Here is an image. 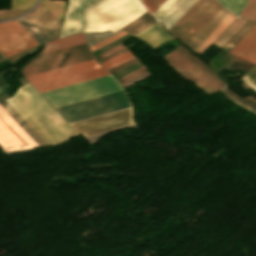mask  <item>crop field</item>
Instances as JSON below:
<instances>
[{
    "label": "crop field",
    "mask_w": 256,
    "mask_h": 256,
    "mask_svg": "<svg viewBox=\"0 0 256 256\" xmlns=\"http://www.w3.org/2000/svg\"><path fill=\"white\" fill-rule=\"evenodd\" d=\"M150 75L151 74L147 71V72H145V73H143V74H141V75H139V76H137V77H135V78L125 82V83H123L122 86H123V88H125V87H127V86H129V85H131V84H133V83H135V82H137V81H139V80H141L143 78H146V77H148Z\"/></svg>",
    "instance_id": "obj_39"
},
{
    "label": "crop field",
    "mask_w": 256,
    "mask_h": 256,
    "mask_svg": "<svg viewBox=\"0 0 256 256\" xmlns=\"http://www.w3.org/2000/svg\"><path fill=\"white\" fill-rule=\"evenodd\" d=\"M27 9H1L0 10V21L12 19L18 15L25 13Z\"/></svg>",
    "instance_id": "obj_32"
},
{
    "label": "crop field",
    "mask_w": 256,
    "mask_h": 256,
    "mask_svg": "<svg viewBox=\"0 0 256 256\" xmlns=\"http://www.w3.org/2000/svg\"><path fill=\"white\" fill-rule=\"evenodd\" d=\"M122 89L123 88L115 81V79L109 75L53 91L41 93V95L54 108H56Z\"/></svg>",
    "instance_id": "obj_4"
},
{
    "label": "crop field",
    "mask_w": 256,
    "mask_h": 256,
    "mask_svg": "<svg viewBox=\"0 0 256 256\" xmlns=\"http://www.w3.org/2000/svg\"><path fill=\"white\" fill-rule=\"evenodd\" d=\"M146 70H147V68L145 66H142V67L134 70L133 72L129 73L128 75L118 79V80L120 81V83H122V82H124V81H126V80H128V79H130V78H132V77H134V76H136V75L146 71Z\"/></svg>",
    "instance_id": "obj_38"
},
{
    "label": "crop field",
    "mask_w": 256,
    "mask_h": 256,
    "mask_svg": "<svg viewBox=\"0 0 256 256\" xmlns=\"http://www.w3.org/2000/svg\"><path fill=\"white\" fill-rule=\"evenodd\" d=\"M86 42L82 33L46 42L41 53Z\"/></svg>",
    "instance_id": "obj_20"
},
{
    "label": "crop field",
    "mask_w": 256,
    "mask_h": 256,
    "mask_svg": "<svg viewBox=\"0 0 256 256\" xmlns=\"http://www.w3.org/2000/svg\"><path fill=\"white\" fill-rule=\"evenodd\" d=\"M38 29L49 39H55L59 34L60 23L40 2L37 8L26 15Z\"/></svg>",
    "instance_id": "obj_13"
},
{
    "label": "crop field",
    "mask_w": 256,
    "mask_h": 256,
    "mask_svg": "<svg viewBox=\"0 0 256 256\" xmlns=\"http://www.w3.org/2000/svg\"><path fill=\"white\" fill-rule=\"evenodd\" d=\"M163 58L180 76L197 85L208 95L225 86L214 72L209 71L202 61L195 58L182 46L163 56Z\"/></svg>",
    "instance_id": "obj_3"
},
{
    "label": "crop field",
    "mask_w": 256,
    "mask_h": 256,
    "mask_svg": "<svg viewBox=\"0 0 256 256\" xmlns=\"http://www.w3.org/2000/svg\"><path fill=\"white\" fill-rule=\"evenodd\" d=\"M136 37L140 38L154 50L171 40V38L158 27L157 23L148 27Z\"/></svg>",
    "instance_id": "obj_16"
},
{
    "label": "crop field",
    "mask_w": 256,
    "mask_h": 256,
    "mask_svg": "<svg viewBox=\"0 0 256 256\" xmlns=\"http://www.w3.org/2000/svg\"><path fill=\"white\" fill-rule=\"evenodd\" d=\"M236 19L231 13L222 21V23L204 40V42L195 50L203 54L205 50L224 32V30Z\"/></svg>",
    "instance_id": "obj_21"
},
{
    "label": "crop field",
    "mask_w": 256,
    "mask_h": 256,
    "mask_svg": "<svg viewBox=\"0 0 256 256\" xmlns=\"http://www.w3.org/2000/svg\"><path fill=\"white\" fill-rule=\"evenodd\" d=\"M147 11L138 0H99L86 11L89 32L111 30L114 33Z\"/></svg>",
    "instance_id": "obj_2"
},
{
    "label": "crop field",
    "mask_w": 256,
    "mask_h": 256,
    "mask_svg": "<svg viewBox=\"0 0 256 256\" xmlns=\"http://www.w3.org/2000/svg\"><path fill=\"white\" fill-rule=\"evenodd\" d=\"M7 101L48 145L78 135L30 84L20 87Z\"/></svg>",
    "instance_id": "obj_1"
},
{
    "label": "crop field",
    "mask_w": 256,
    "mask_h": 256,
    "mask_svg": "<svg viewBox=\"0 0 256 256\" xmlns=\"http://www.w3.org/2000/svg\"><path fill=\"white\" fill-rule=\"evenodd\" d=\"M176 0H166L162 6L153 14L158 20L175 3Z\"/></svg>",
    "instance_id": "obj_34"
},
{
    "label": "crop field",
    "mask_w": 256,
    "mask_h": 256,
    "mask_svg": "<svg viewBox=\"0 0 256 256\" xmlns=\"http://www.w3.org/2000/svg\"><path fill=\"white\" fill-rule=\"evenodd\" d=\"M132 57H134V55L129 50V51H127V52H125V53H123V54H121V55H119V56H117V57H115V58H113V59H111V60L101 64V65L106 70H108V69H110V68H112V67H114V66H116V65H118V64H120V63H122V62H124V61H126L128 59H130V58H132Z\"/></svg>",
    "instance_id": "obj_29"
},
{
    "label": "crop field",
    "mask_w": 256,
    "mask_h": 256,
    "mask_svg": "<svg viewBox=\"0 0 256 256\" xmlns=\"http://www.w3.org/2000/svg\"><path fill=\"white\" fill-rule=\"evenodd\" d=\"M124 91L78 102L56 110L68 121H75L98 114L130 107Z\"/></svg>",
    "instance_id": "obj_6"
},
{
    "label": "crop field",
    "mask_w": 256,
    "mask_h": 256,
    "mask_svg": "<svg viewBox=\"0 0 256 256\" xmlns=\"http://www.w3.org/2000/svg\"><path fill=\"white\" fill-rule=\"evenodd\" d=\"M252 22H256V15H255L254 18L252 19Z\"/></svg>",
    "instance_id": "obj_41"
},
{
    "label": "crop field",
    "mask_w": 256,
    "mask_h": 256,
    "mask_svg": "<svg viewBox=\"0 0 256 256\" xmlns=\"http://www.w3.org/2000/svg\"><path fill=\"white\" fill-rule=\"evenodd\" d=\"M255 12H256V0H250L249 4L247 5V7L245 8V10L243 11L240 17L251 20Z\"/></svg>",
    "instance_id": "obj_33"
},
{
    "label": "crop field",
    "mask_w": 256,
    "mask_h": 256,
    "mask_svg": "<svg viewBox=\"0 0 256 256\" xmlns=\"http://www.w3.org/2000/svg\"><path fill=\"white\" fill-rule=\"evenodd\" d=\"M124 47H126V46L121 44V45H119V46H117V47H115V48H113V49H111V50H109V51H107V52H105V53L95 57V58L98 61V60H100V59H102V58H104V57H106V56H108V55H110V54H112V53H114V52L124 48Z\"/></svg>",
    "instance_id": "obj_40"
},
{
    "label": "crop field",
    "mask_w": 256,
    "mask_h": 256,
    "mask_svg": "<svg viewBox=\"0 0 256 256\" xmlns=\"http://www.w3.org/2000/svg\"><path fill=\"white\" fill-rule=\"evenodd\" d=\"M37 45L15 20L0 24V52L6 57Z\"/></svg>",
    "instance_id": "obj_9"
},
{
    "label": "crop field",
    "mask_w": 256,
    "mask_h": 256,
    "mask_svg": "<svg viewBox=\"0 0 256 256\" xmlns=\"http://www.w3.org/2000/svg\"><path fill=\"white\" fill-rule=\"evenodd\" d=\"M0 145L11 151L38 146L0 106Z\"/></svg>",
    "instance_id": "obj_8"
},
{
    "label": "crop field",
    "mask_w": 256,
    "mask_h": 256,
    "mask_svg": "<svg viewBox=\"0 0 256 256\" xmlns=\"http://www.w3.org/2000/svg\"><path fill=\"white\" fill-rule=\"evenodd\" d=\"M18 21L28 31V33L35 39V41L38 44L48 40L26 16L18 19Z\"/></svg>",
    "instance_id": "obj_26"
},
{
    "label": "crop field",
    "mask_w": 256,
    "mask_h": 256,
    "mask_svg": "<svg viewBox=\"0 0 256 256\" xmlns=\"http://www.w3.org/2000/svg\"><path fill=\"white\" fill-rule=\"evenodd\" d=\"M231 53L256 63V26L237 44Z\"/></svg>",
    "instance_id": "obj_15"
},
{
    "label": "crop field",
    "mask_w": 256,
    "mask_h": 256,
    "mask_svg": "<svg viewBox=\"0 0 256 256\" xmlns=\"http://www.w3.org/2000/svg\"><path fill=\"white\" fill-rule=\"evenodd\" d=\"M195 1L177 0L159 21L169 30Z\"/></svg>",
    "instance_id": "obj_17"
},
{
    "label": "crop field",
    "mask_w": 256,
    "mask_h": 256,
    "mask_svg": "<svg viewBox=\"0 0 256 256\" xmlns=\"http://www.w3.org/2000/svg\"><path fill=\"white\" fill-rule=\"evenodd\" d=\"M121 30H119L118 32H120ZM116 32V33H118ZM115 33V34H116ZM86 39H87V42L89 44V46H92L112 35H114L113 33L111 32H104V33H100V34H97V33H84Z\"/></svg>",
    "instance_id": "obj_30"
},
{
    "label": "crop field",
    "mask_w": 256,
    "mask_h": 256,
    "mask_svg": "<svg viewBox=\"0 0 256 256\" xmlns=\"http://www.w3.org/2000/svg\"><path fill=\"white\" fill-rule=\"evenodd\" d=\"M105 75H109V73L106 70H104L103 68H101V69H97V70H93V71H89V72L69 76V77H66V78H62V79H58V80H54V81L34 85V87L36 88V90L39 93H41V92L53 90V89H56V88L68 86V85H71V84L79 83V82H82V81L94 79V78L105 76Z\"/></svg>",
    "instance_id": "obj_14"
},
{
    "label": "crop field",
    "mask_w": 256,
    "mask_h": 256,
    "mask_svg": "<svg viewBox=\"0 0 256 256\" xmlns=\"http://www.w3.org/2000/svg\"><path fill=\"white\" fill-rule=\"evenodd\" d=\"M229 13L223 8L188 45L195 50Z\"/></svg>",
    "instance_id": "obj_18"
},
{
    "label": "crop field",
    "mask_w": 256,
    "mask_h": 256,
    "mask_svg": "<svg viewBox=\"0 0 256 256\" xmlns=\"http://www.w3.org/2000/svg\"><path fill=\"white\" fill-rule=\"evenodd\" d=\"M96 63L92 59V60H88V61H84V62H81V63L74 64V65H70V66L55 69V70H52V71L37 74V75H34V76L26 77V79L32 85H34V84H38V83H42V82H46V81L66 77V76H69V75H73V74H77V73H81V72L101 68Z\"/></svg>",
    "instance_id": "obj_12"
},
{
    "label": "crop field",
    "mask_w": 256,
    "mask_h": 256,
    "mask_svg": "<svg viewBox=\"0 0 256 256\" xmlns=\"http://www.w3.org/2000/svg\"><path fill=\"white\" fill-rule=\"evenodd\" d=\"M87 44H81L70 48L54 51L37 56L28 62L21 70L24 77L92 59Z\"/></svg>",
    "instance_id": "obj_7"
},
{
    "label": "crop field",
    "mask_w": 256,
    "mask_h": 256,
    "mask_svg": "<svg viewBox=\"0 0 256 256\" xmlns=\"http://www.w3.org/2000/svg\"><path fill=\"white\" fill-rule=\"evenodd\" d=\"M11 8L32 7L36 0H10Z\"/></svg>",
    "instance_id": "obj_35"
},
{
    "label": "crop field",
    "mask_w": 256,
    "mask_h": 256,
    "mask_svg": "<svg viewBox=\"0 0 256 256\" xmlns=\"http://www.w3.org/2000/svg\"><path fill=\"white\" fill-rule=\"evenodd\" d=\"M255 25V23L247 21L235 35L222 47V49L230 52L235 45L249 32V30Z\"/></svg>",
    "instance_id": "obj_24"
},
{
    "label": "crop field",
    "mask_w": 256,
    "mask_h": 256,
    "mask_svg": "<svg viewBox=\"0 0 256 256\" xmlns=\"http://www.w3.org/2000/svg\"><path fill=\"white\" fill-rule=\"evenodd\" d=\"M132 108L70 124L82 136L132 124Z\"/></svg>",
    "instance_id": "obj_10"
},
{
    "label": "crop field",
    "mask_w": 256,
    "mask_h": 256,
    "mask_svg": "<svg viewBox=\"0 0 256 256\" xmlns=\"http://www.w3.org/2000/svg\"><path fill=\"white\" fill-rule=\"evenodd\" d=\"M147 8L154 13L165 0H142Z\"/></svg>",
    "instance_id": "obj_36"
},
{
    "label": "crop field",
    "mask_w": 256,
    "mask_h": 256,
    "mask_svg": "<svg viewBox=\"0 0 256 256\" xmlns=\"http://www.w3.org/2000/svg\"><path fill=\"white\" fill-rule=\"evenodd\" d=\"M0 105L9 113V115L30 135V137L39 145H47L41 137L26 123V121L7 103L6 100L1 101ZM1 107V108H2ZM2 108V109H3ZM3 109V110H4ZM4 110V111H5ZM5 111V112H6ZM6 112V113H7Z\"/></svg>",
    "instance_id": "obj_19"
},
{
    "label": "crop field",
    "mask_w": 256,
    "mask_h": 256,
    "mask_svg": "<svg viewBox=\"0 0 256 256\" xmlns=\"http://www.w3.org/2000/svg\"><path fill=\"white\" fill-rule=\"evenodd\" d=\"M242 87H252L256 91V64L242 78Z\"/></svg>",
    "instance_id": "obj_31"
},
{
    "label": "crop field",
    "mask_w": 256,
    "mask_h": 256,
    "mask_svg": "<svg viewBox=\"0 0 256 256\" xmlns=\"http://www.w3.org/2000/svg\"><path fill=\"white\" fill-rule=\"evenodd\" d=\"M236 15H239L248 0H218Z\"/></svg>",
    "instance_id": "obj_28"
},
{
    "label": "crop field",
    "mask_w": 256,
    "mask_h": 256,
    "mask_svg": "<svg viewBox=\"0 0 256 256\" xmlns=\"http://www.w3.org/2000/svg\"><path fill=\"white\" fill-rule=\"evenodd\" d=\"M154 22L156 21L149 13V11H147L143 15L135 19L133 22L125 26L122 30L135 36Z\"/></svg>",
    "instance_id": "obj_22"
},
{
    "label": "crop field",
    "mask_w": 256,
    "mask_h": 256,
    "mask_svg": "<svg viewBox=\"0 0 256 256\" xmlns=\"http://www.w3.org/2000/svg\"><path fill=\"white\" fill-rule=\"evenodd\" d=\"M222 8L215 0H197L169 31L188 44Z\"/></svg>",
    "instance_id": "obj_5"
},
{
    "label": "crop field",
    "mask_w": 256,
    "mask_h": 256,
    "mask_svg": "<svg viewBox=\"0 0 256 256\" xmlns=\"http://www.w3.org/2000/svg\"><path fill=\"white\" fill-rule=\"evenodd\" d=\"M126 34H128V33L123 31V32H121V33H119V34H117V35H115V36H113V37H111V38H109V39H107V40H105V41H103V42L93 46V47H91L90 49H91V51H94V50H96V49H98V48H100V47H102V46H104V45H106V44H108V43H110V42H112V41H114V40H116V39L126 35Z\"/></svg>",
    "instance_id": "obj_37"
},
{
    "label": "crop field",
    "mask_w": 256,
    "mask_h": 256,
    "mask_svg": "<svg viewBox=\"0 0 256 256\" xmlns=\"http://www.w3.org/2000/svg\"><path fill=\"white\" fill-rule=\"evenodd\" d=\"M92 1L94 0H68L60 36L80 32L85 29L84 10Z\"/></svg>",
    "instance_id": "obj_11"
},
{
    "label": "crop field",
    "mask_w": 256,
    "mask_h": 256,
    "mask_svg": "<svg viewBox=\"0 0 256 256\" xmlns=\"http://www.w3.org/2000/svg\"><path fill=\"white\" fill-rule=\"evenodd\" d=\"M222 91L227 96H229L234 102L256 113V99L250 96H247L242 99L228 88H224Z\"/></svg>",
    "instance_id": "obj_25"
},
{
    "label": "crop field",
    "mask_w": 256,
    "mask_h": 256,
    "mask_svg": "<svg viewBox=\"0 0 256 256\" xmlns=\"http://www.w3.org/2000/svg\"><path fill=\"white\" fill-rule=\"evenodd\" d=\"M41 2L62 23L66 2L63 0H42Z\"/></svg>",
    "instance_id": "obj_23"
},
{
    "label": "crop field",
    "mask_w": 256,
    "mask_h": 256,
    "mask_svg": "<svg viewBox=\"0 0 256 256\" xmlns=\"http://www.w3.org/2000/svg\"><path fill=\"white\" fill-rule=\"evenodd\" d=\"M245 22V20L236 19L214 44L221 48Z\"/></svg>",
    "instance_id": "obj_27"
}]
</instances>
